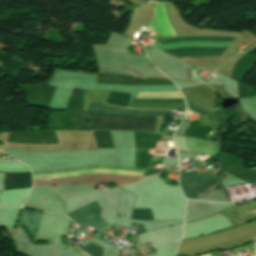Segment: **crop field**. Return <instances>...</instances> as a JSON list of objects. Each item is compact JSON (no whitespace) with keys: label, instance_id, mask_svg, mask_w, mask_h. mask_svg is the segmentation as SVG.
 <instances>
[{"label":"crop field","instance_id":"obj_10","mask_svg":"<svg viewBox=\"0 0 256 256\" xmlns=\"http://www.w3.org/2000/svg\"><path fill=\"white\" fill-rule=\"evenodd\" d=\"M98 148H113L109 131H94Z\"/></svg>","mask_w":256,"mask_h":256},{"label":"crop field","instance_id":"obj_1","mask_svg":"<svg viewBox=\"0 0 256 256\" xmlns=\"http://www.w3.org/2000/svg\"><path fill=\"white\" fill-rule=\"evenodd\" d=\"M235 38L222 37H186L170 39L166 42L175 41H195V40H212V41H233ZM160 43V44H162ZM230 42H211V41H196V42H175L158 45L160 49L176 48V47H190V46H216L227 47ZM216 47H191V48H177L162 50L175 57H219L226 48Z\"/></svg>","mask_w":256,"mask_h":256},{"label":"crop field","instance_id":"obj_6","mask_svg":"<svg viewBox=\"0 0 256 256\" xmlns=\"http://www.w3.org/2000/svg\"><path fill=\"white\" fill-rule=\"evenodd\" d=\"M87 111L105 112L112 114H143L157 116H166L168 113V111L124 109L100 104H89Z\"/></svg>","mask_w":256,"mask_h":256},{"label":"crop field","instance_id":"obj_8","mask_svg":"<svg viewBox=\"0 0 256 256\" xmlns=\"http://www.w3.org/2000/svg\"><path fill=\"white\" fill-rule=\"evenodd\" d=\"M39 212L23 210L21 211V216L18 226H24L30 233L32 239L34 240L35 232L40 218Z\"/></svg>","mask_w":256,"mask_h":256},{"label":"crop field","instance_id":"obj_13","mask_svg":"<svg viewBox=\"0 0 256 256\" xmlns=\"http://www.w3.org/2000/svg\"><path fill=\"white\" fill-rule=\"evenodd\" d=\"M131 219H138V220H152V216L149 209H137L134 210Z\"/></svg>","mask_w":256,"mask_h":256},{"label":"crop field","instance_id":"obj_9","mask_svg":"<svg viewBox=\"0 0 256 256\" xmlns=\"http://www.w3.org/2000/svg\"><path fill=\"white\" fill-rule=\"evenodd\" d=\"M89 169H115V170H127V171H137V172L145 171V169H131V168L106 167V166H88V167L69 169V170H61V171L37 172V173H33V175L62 174V173L77 172V171H83V170H89Z\"/></svg>","mask_w":256,"mask_h":256},{"label":"crop field","instance_id":"obj_17","mask_svg":"<svg viewBox=\"0 0 256 256\" xmlns=\"http://www.w3.org/2000/svg\"><path fill=\"white\" fill-rule=\"evenodd\" d=\"M166 13H167V6H166ZM168 16V14H167ZM169 18V17H168ZM171 23V22H170ZM171 26L174 28V26L171 24ZM175 29V28H174ZM176 31V30H175ZM177 33V32H176ZM178 35V34H177Z\"/></svg>","mask_w":256,"mask_h":256},{"label":"crop field","instance_id":"obj_11","mask_svg":"<svg viewBox=\"0 0 256 256\" xmlns=\"http://www.w3.org/2000/svg\"><path fill=\"white\" fill-rule=\"evenodd\" d=\"M128 94L112 92L105 103L126 107L129 99Z\"/></svg>","mask_w":256,"mask_h":256},{"label":"crop field","instance_id":"obj_4","mask_svg":"<svg viewBox=\"0 0 256 256\" xmlns=\"http://www.w3.org/2000/svg\"><path fill=\"white\" fill-rule=\"evenodd\" d=\"M99 214L100 207L94 202L68 213V216L78 224H86L100 230L109 224L103 222Z\"/></svg>","mask_w":256,"mask_h":256},{"label":"crop field","instance_id":"obj_16","mask_svg":"<svg viewBox=\"0 0 256 256\" xmlns=\"http://www.w3.org/2000/svg\"><path fill=\"white\" fill-rule=\"evenodd\" d=\"M248 99L253 100V101H255V102H256V96H253V97L248 98Z\"/></svg>","mask_w":256,"mask_h":256},{"label":"crop field","instance_id":"obj_19","mask_svg":"<svg viewBox=\"0 0 256 256\" xmlns=\"http://www.w3.org/2000/svg\"><path fill=\"white\" fill-rule=\"evenodd\" d=\"M206 256H208V255H206Z\"/></svg>","mask_w":256,"mask_h":256},{"label":"crop field","instance_id":"obj_14","mask_svg":"<svg viewBox=\"0 0 256 256\" xmlns=\"http://www.w3.org/2000/svg\"><path fill=\"white\" fill-rule=\"evenodd\" d=\"M132 101L184 102L183 99L134 98Z\"/></svg>","mask_w":256,"mask_h":256},{"label":"crop field","instance_id":"obj_5","mask_svg":"<svg viewBox=\"0 0 256 256\" xmlns=\"http://www.w3.org/2000/svg\"><path fill=\"white\" fill-rule=\"evenodd\" d=\"M7 142L30 144L58 143L54 131L9 133Z\"/></svg>","mask_w":256,"mask_h":256},{"label":"crop field","instance_id":"obj_18","mask_svg":"<svg viewBox=\"0 0 256 256\" xmlns=\"http://www.w3.org/2000/svg\"><path fill=\"white\" fill-rule=\"evenodd\" d=\"M177 142H178V145H179V141H178V138H177ZM179 147H180V145H179Z\"/></svg>","mask_w":256,"mask_h":256},{"label":"crop field","instance_id":"obj_7","mask_svg":"<svg viewBox=\"0 0 256 256\" xmlns=\"http://www.w3.org/2000/svg\"><path fill=\"white\" fill-rule=\"evenodd\" d=\"M31 173L5 174L6 190L31 187Z\"/></svg>","mask_w":256,"mask_h":256},{"label":"crop field","instance_id":"obj_12","mask_svg":"<svg viewBox=\"0 0 256 256\" xmlns=\"http://www.w3.org/2000/svg\"><path fill=\"white\" fill-rule=\"evenodd\" d=\"M87 254H89L90 256H102V247L90 242L84 249ZM84 251H81L82 253H84L85 255H87ZM87 255V256H89Z\"/></svg>","mask_w":256,"mask_h":256},{"label":"crop field","instance_id":"obj_3","mask_svg":"<svg viewBox=\"0 0 256 256\" xmlns=\"http://www.w3.org/2000/svg\"><path fill=\"white\" fill-rule=\"evenodd\" d=\"M220 181L219 176L201 174L180 177V186L186 198L197 199L211 190Z\"/></svg>","mask_w":256,"mask_h":256},{"label":"crop field","instance_id":"obj_2","mask_svg":"<svg viewBox=\"0 0 256 256\" xmlns=\"http://www.w3.org/2000/svg\"><path fill=\"white\" fill-rule=\"evenodd\" d=\"M155 117L98 113L95 130H144L154 132Z\"/></svg>","mask_w":256,"mask_h":256},{"label":"crop field","instance_id":"obj_15","mask_svg":"<svg viewBox=\"0 0 256 256\" xmlns=\"http://www.w3.org/2000/svg\"><path fill=\"white\" fill-rule=\"evenodd\" d=\"M186 102H187L188 108L192 109L195 112L202 113V114H205V115L209 114V113H212V112L208 111L207 109H205V108H203L201 106H198V105H196V104H194V103H192V102H190L188 100H186Z\"/></svg>","mask_w":256,"mask_h":256}]
</instances>
